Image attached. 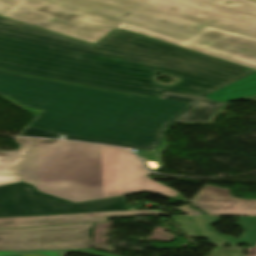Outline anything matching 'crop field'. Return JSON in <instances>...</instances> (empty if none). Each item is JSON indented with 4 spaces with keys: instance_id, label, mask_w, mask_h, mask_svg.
Returning <instances> with one entry per match:
<instances>
[{
    "instance_id": "8a807250",
    "label": "crop field",
    "mask_w": 256,
    "mask_h": 256,
    "mask_svg": "<svg viewBox=\"0 0 256 256\" xmlns=\"http://www.w3.org/2000/svg\"><path fill=\"white\" fill-rule=\"evenodd\" d=\"M0 69L156 97L205 96L255 71L119 28L90 45L1 17Z\"/></svg>"
},
{
    "instance_id": "ac0d7876",
    "label": "crop field",
    "mask_w": 256,
    "mask_h": 256,
    "mask_svg": "<svg viewBox=\"0 0 256 256\" xmlns=\"http://www.w3.org/2000/svg\"><path fill=\"white\" fill-rule=\"evenodd\" d=\"M0 96L35 116L17 136L65 135L69 140L134 147L154 172L163 167V134L175 121L212 124L227 106L205 97L126 95L1 70Z\"/></svg>"
},
{
    "instance_id": "34b2d1b8",
    "label": "crop field",
    "mask_w": 256,
    "mask_h": 256,
    "mask_svg": "<svg viewBox=\"0 0 256 256\" xmlns=\"http://www.w3.org/2000/svg\"><path fill=\"white\" fill-rule=\"evenodd\" d=\"M4 17L93 43L122 23L185 43L208 26L256 38L247 0H24Z\"/></svg>"
},
{
    "instance_id": "412701ff",
    "label": "crop field",
    "mask_w": 256,
    "mask_h": 256,
    "mask_svg": "<svg viewBox=\"0 0 256 256\" xmlns=\"http://www.w3.org/2000/svg\"><path fill=\"white\" fill-rule=\"evenodd\" d=\"M18 151H0V174L21 175L38 191L75 203L140 192L174 198L149 178L139 158L122 148L80 142L15 138Z\"/></svg>"
},
{
    "instance_id": "f4fd0767",
    "label": "crop field",
    "mask_w": 256,
    "mask_h": 256,
    "mask_svg": "<svg viewBox=\"0 0 256 256\" xmlns=\"http://www.w3.org/2000/svg\"><path fill=\"white\" fill-rule=\"evenodd\" d=\"M130 210L124 196L74 204L23 182L0 186V217Z\"/></svg>"
},
{
    "instance_id": "dd49c442",
    "label": "crop field",
    "mask_w": 256,
    "mask_h": 256,
    "mask_svg": "<svg viewBox=\"0 0 256 256\" xmlns=\"http://www.w3.org/2000/svg\"><path fill=\"white\" fill-rule=\"evenodd\" d=\"M96 224L0 229V251L88 249Z\"/></svg>"
},
{
    "instance_id": "e52e79f7",
    "label": "crop field",
    "mask_w": 256,
    "mask_h": 256,
    "mask_svg": "<svg viewBox=\"0 0 256 256\" xmlns=\"http://www.w3.org/2000/svg\"><path fill=\"white\" fill-rule=\"evenodd\" d=\"M119 28L256 70V39L208 27L187 44L122 24Z\"/></svg>"
},
{
    "instance_id": "d8731c3e",
    "label": "crop field",
    "mask_w": 256,
    "mask_h": 256,
    "mask_svg": "<svg viewBox=\"0 0 256 256\" xmlns=\"http://www.w3.org/2000/svg\"><path fill=\"white\" fill-rule=\"evenodd\" d=\"M191 204L209 215L256 216V200L236 199L229 190L215 186L206 185Z\"/></svg>"
},
{
    "instance_id": "5a996713",
    "label": "crop field",
    "mask_w": 256,
    "mask_h": 256,
    "mask_svg": "<svg viewBox=\"0 0 256 256\" xmlns=\"http://www.w3.org/2000/svg\"><path fill=\"white\" fill-rule=\"evenodd\" d=\"M206 97L216 102H230L256 98V72Z\"/></svg>"
},
{
    "instance_id": "3316defc",
    "label": "crop field",
    "mask_w": 256,
    "mask_h": 256,
    "mask_svg": "<svg viewBox=\"0 0 256 256\" xmlns=\"http://www.w3.org/2000/svg\"><path fill=\"white\" fill-rule=\"evenodd\" d=\"M106 218L84 219L82 214L0 219V228L53 224L102 222Z\"/></svg>"
},
{
    "instance_id": "28ad6ade",
    "label": "crop field",
    "mask_w": 256,
    "mask_h": 256,
    "mask_svg": "<svg viewBox=\"0 0 256 256\" xmlns=\"http://www.w3.org/2000/svg\"><path fill=\"white\" fill-rule=\"evenodd\" d=\"M181 227L191 238H202L208 240L216 247H223L228 244L234 247L210 229L207 228L204 217H170Z\"/></svg>"
},
{
    "instance_id": "d1516ede",
    "label": "crop field",
    "mask_w": 256,
    "mask_h": 256,
    "mask_svg": "<svg viewBox=\"0 0 256 256\" xmlns=\"http://www.w3.org/2000/svg\"><path fill=\"white\" fill-rule=\"evenodd\" d=\"M206 223L208 228H210V224L218 222L219 219L218 217H205ZM245 232L242 235L241 238L237 241L233 237H223L213 229L216 234H218L220 237L228 241L234 246H238L240 244H244L248 247H255L256 245V218H240V220L237 223Z\"/></svg>"
},
{
    "instance_id": "22f410ed",
    "label": "crop field",
    "mask_w": 256,
    "mask_h": 256,
    "mask_svg": "<svg viewBox=\"0 0 256 256\" xmlns=\"http://www.w3.org/2000/svg\"><path fill=\"white\" fill-rule=\"evenodd\" d=\"M69 252H81V253L96 255V256H115V255L95 252L90 249H88V250H43V251H24V252H0V256H12V255H21V254H42V255H48V256H65L66 253H69Z\"/></svg>"
},
{
    "instance_id": "cbeb9de0",
    "label": "crop field",
    "mask_w": 256,
    "mask_h": 256,
    "mask_svg": "<svg viewBox=\"0 0 256 256\" xmlns=\"http://www.w3.org/2000/svg\"><path fill=\"white\" fill-rule=\"evenodd\" d=\"M85 218L95 217H115V216H132V215H166L162 211H123V212H107V213H91L83 214Z\"/></svg>"
},
{
    "instance_id": "5142ce71",
    "label": "crop field",
    "mask_w": 256,
    "mask_h": 256,
    "mask_svg": "<svg viewBox=\"0 0 256 256\" xmlns=\"http://www.w3.org/2000/svg\"><path fill=\"white\" fill-rule=\"evenodd\" d=\"M23 0H0V15L3 16Z\"/></svg>"
},
{
    "instance_id": "d9b57169",
    "label": "crop field",
    "mask_w": 256,
    "mask_h": 256,
    "mask_svg": "<svg viewBox=\"0 0 256 256\" xmlns=\"http://www.w3.org/2000/svg\"><path fill=\"white\" fill-rule=\"evenodd\" d=\"M21 181L20 176H1L0 175V185L19 182Z\"/></svg>"
},
{
    "instance_id": "733c2abd",
    "label": "crop field",
    "mask_w": 256,
    "mask_h": 256,
    "mask_svg": "<svg viewBox=\"0 0 256 256\" xmlns=\"http://www.w3.org/2000/svg\"><path fill=\"white\" fill-rule=\"evenodd\" d=\"M180 208H182V212H184V213H186V214H188V215H201L200 213H198V212H196V211L190 209V208H189V205L184 206V207H180ZM176 209H177V208H176ZM174 210H175V209H174Z\"/></svg>"
},
{
    "instance_id": "4a817a6b",
    "label": "crop field",
    "mask_w": 256,
    "mask_h": 256,
    "mask_svg": "<svg viewBox=\"0 0 256 256\" xmlns=\"http://www.w3.org/2000/svg\"><path fill=\"white\" fill-rule=\"evenodd\" d=\"M250 256H256V247L255 248H247Z\"/></svg>"
},
{
    "instance_id": "bc2a9ffb",
    "label": "crop field",
    "mask_w": 256,
    "mask_h": 256,
    "mask_svg": "<svg viewBox=\"0 0 256 256\" xmlns=\"http://www.w3.org/2000/svg\"><path fill=\"white\" fill-rule=\"evenodd\" d=\"M27 256H42V255H27Z\"/></svg>"
},
{
    "instance_id": "214f88e0",
    "label": "crop field",
    "mask_w": 256,
    "mask_h": 256,
    "mask_svg": "<svg viewBox=\"0 0 256 256\" xmlns=\"http://www.w3.org/2000/svg\"><path fill=\"white\" fill-rule=\"evenodd\" d=\"M247 256H249V254Z\"/></svg>"
}]
</instances>
